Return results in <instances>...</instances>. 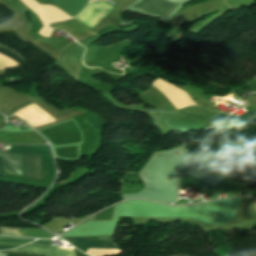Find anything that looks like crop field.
Listing matches in <instances>:
<instances>
[{
	"instance_id": "1",
	"label": "crop field",
	"mask_w": 256,
	"mask_h": 256,
	"mask_svg": "<svg viewBox=\"0 0 256 256\" xmlns=\"http://www.w3.org/2000/svg\"><path fill=\"white\" fill-rule=\"evenodd\" d=\"M13 153L52 156L48 146H12ZM22 155V176L42 180V156ZM3 166L8 173L21 176V155L2 154Z\"/></svg>"
},
{
	"instance_id": "2",
	"label": "crop field",
	"mask_w": 256,
	"mask_h": 256,
	"mask_svg": "<svg viewBox=\"0 0 256 256\" xmlns=\"http://www.w3.org/2000/svg\"><path fill=\"white\" fill-rule=\"evenodd\" d=\"M176 6V4L168 3L165 0H143L134 8L146 12L150 15L167 18Z\"/></svg>"
},
{
	"instance_id": "3",
	"label": "crop field",
	"mask_w": 256,
	"mask_h": 256,
	"mask_svg": "<svg viewBox=\"0 0 256 256\" xmlns=\"http://www.w3.org/2000/svg\"><path fill=\"white\" fill-rule=\"evenodd\" d=\"M50 27L60 28L68 32L76 40L85 39L93 35H98L97 33L87 29L76 20H68L61 23L51 24Z\"/></svg>"
},
{
	"instance_id": "4",
	"label": "crop field",
	"mask_w": 256,
	"mask_h": 256,
	"mask_svg": "<svg viewBox=\"0 0 256 256\" xmlns=\"http://www.w3.org/2000/svg\"><path fill=\"white\" fill-rule=\"evenodd\" d=\"M12 251H22V252H29V253H33V254L46 255L48 250L19 248V249L12 250ZM47 255H49V256H74V251H73V249L51 246Z\"/></svg>"
},
{
	"instance_id": "5",
	"label": "crop field",
	"mask_w": 256,
	"mask_h": 256,
	"mask_svg": "<svg viewBox=\"0 0 256 256\" xmlns=\"http://www.w3.org/2000/svg\"><path fill=\"white\" fill-rule=\"evenodd\" d=\"M65 240L87 248H116L111 240L93 241L86 238H69Z\"/></svg>"
},
{
	"instance_id": "6",
	"label": "crop field",
	"mask_w": 256,
	"mask_h": 256,
	"mask_svg": "<svg viewBox=\"0 0 256 256\" xmlns=\"http://www.w3.org/2000/svg\"><path fill=\"white\" fill-rule=\"evenodd\" d=\"M256 114L245 112L240 116H229L219 127L233 129L250 121Z\"/></svg>"
},
{
	"instance_id": "7",
	"label": "crop field",
	"mask_w": 256,
	"mask_h": 256,
	"mask_svg": "<svg viewBox=\"0 0 256 256\" xmlns=\"http://www.w3.org/2000/svg\"><path fill=\"white\" fill-rule=\"evenodd\" d=\"M0 54L7 56L11 60L15 61L19 65H24L25 61L21 57H19L16 53L10 51L9 49L0 45Z\"/></svg>"
},
{
	"instance_id": "8",
	"label": "crop field",
	"mask_w": 256,
	"mask_h": 256,
	"mask_svg": "<svg viewBox=\"0 0 256 256\" xmlns=\"http://www.w3.org/2000/svg\"><path fill=\"white\" fill-rule=\"evenodd\" d=\"M0 235L20 236V237H22V229H3V228H0Z\"/></svg>"
},
{
	"instance_id": "9",
	"label": "crop field",
	"mask_w": 256,
	"mask_h": 256,
	"mask_svg": "<svg viewBox=\"0 0 256 256\" xmlns=\"http://www.w3.org/2000/svg\"><path fill=\"white\" fill-rule=\"evenodd\" d=\"M0 241H5V242H16V243H29L34 240L32 239H18V238H10V237H0Z\"/></svg>"
},
{
	"instance_id": "10",
	"label": "crop field",
	"mask_w": 256,
	"mask_h": 256,
	"mask_svg": "<svg viewBox=\"0 0 256 256\" xmlns=\"http://www.w3.org/2000/svg\"><path fill=\"white\" fill-rule=\"evenodd\" d=\"M223 118V115L219 117L212 118L208 123L204 124L203 126L199 127L196 130H202L208 128L210 125L217 124L221 119Z\"/></svg>"
},
{
	"instance_id": "11",
	"label": "crop field",
	"mask_w": 256,
	"mask_h": 256,
	"mask_svg": "<svg viewBox=\"0 0 256 256\" xmlns=\"http://www.w3.org/2000/svg\"><path fill=\"white\" fill-rule=\"evenodd\" d=\"M24 247H29V248H43V249H48L49 246H45V245H35V244H28Z\"/></svg>"
},
{
	"instance_id": "12",
	"label": "crop field",
	"mask_w": 256,
	"mask_h": 256,
	"mask_svg": "<svg viewBox=\"0 0 256 256\" xmlns=\"http://www.w3.org/2000/svg\"><path fill=\"white\" fill-rule=\"evenodd\" d=\"M35 244H45V245H50V241H46V240H39V241H35L33 242Z\"/></svg>"
},
{
	"instance_id": "13",
	"label": "crop field",
	"mask_w": 256,
	"mask_h": 256,
	"mask_svg": "<svg viewBox=\"0 0 256 256\" xmlns=\"http://www.w3.org/2000/svg\"><path fill=\"white\" fill-rule=\"evenodd\" d=\"M39 4H51V0H36Z\"/></svg>"
},
{
	"instance_id": "14",
	"label": "crop field",
	"mask_w": 256,
	"mask_h": 256,
	"mask_svg": "<svg viewBox=\"0 0 256 256\" xmlns=\"http://www.w3.org/2000/svg\"><path fill=\"white\" fill-rule=\"evenodd\" d=\"M0 176H2L1 162H0Z\"/></svg>"
}]
</instances>
